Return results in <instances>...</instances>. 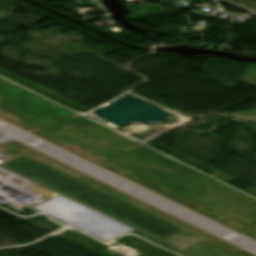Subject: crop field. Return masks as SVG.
Wrapping results in <instances>:
<instances>
[{
	"mask_svg": "<svg viewBox=\"0 0 256 256\" xmlns=\"http://www.w3.org/2000/svg\"><path fill=\"white\" fill-rule=\"evenodd\" d=\"M196 256H253L217 238L186 250Z\"/></svg>",
	"mask_w": 256,
	"mask_h": 256,
	"instance_id": "crop-field-1",
	"label": "crop field"
}]
</instances>
